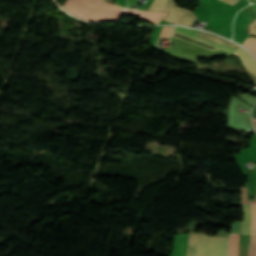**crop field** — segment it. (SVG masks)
Instances as JSON below:
<instances>
[{
    "label": "crop field",
    "instance_id": "1",
    "mask_svg": "<svg viewBox=\"0 0 256 256\" xmlns=\"http://www.w3.org/2000/svg\"><path fill=\"white\" fill-rule=\"evenodd\" d=\"M228 237H211L190 232L186 256H226Z\"/></svg>",
    "mask_w": 256,
    "mask_h": 256
},
{
    "label": "crop field",
    "instance_id": "13",
    "mask_svg": "<svg viewBox=\"0 0 256 256\" xmlns=\"http://www.w3.org/2000/svg\"><path fill=\"white\" fill-rule=\"evenodd\" d=\"M221 1L234 5V4H236L239 0H221Z\"/></svg>",
    "mask_w": 256,
    "mask_h": 256
},
{
    "label": "crop field",
    "instance_id": "12",
    "mask_svg": "<svg viewBox=\"0 0 256 256\" xmlns=\"http://www.w3.org/2000/svg\"><path fill=\"white\" fill-rule=\"evenodd\" d=\"M240 224H241V222H239V223H235V224H234L233 232H232V233H239V230H240Z\"/></svg>",
    "mask_w": 256,
    "mask_h": 256
},
{
    "label": "crop field",
    "instance_id": "14",
    "mask_svg": "<svg viewBox=\"0 0 256 256\" xmlns=\"http://www.w3.org/2000/svg\"><path fill=\"white\" fill-rule=\"evenodd\" d=\"M254 121V124H255V128H256V120H253Z\"/></svg>",
    "mask_w": 256,
    "mask_h": 256
},
{
    "label": "crop field",
    "instance_id": "10",
    "mask_svg": "<svg viewBox=\"0 0 256 256\" xmlns=\"http://www.w3.org/2000/svg\"><path fill=\"white\" fill-rule=\"evenodd\" d=\"M243 204L256 203V195L253 200L248 201V188H242Z\"/></svg>",
    "mask_w": 256,
    "mask_h": 256
},
{
    "label": "crop field",
    "instance_id": "4",
    "mask_svg": "<svg viewBox=\"0 0 256 256\" xmlns=\"http://www.w3.org/2000/svg\"><path fill=\"white\" fill-rule=\"evenodd\" d=\"M237 53L245 64L246 68L256 76V61L240 47L237 49Z\"/></svg>",
    "mask_w": 256,
    "mask_h": 256
},
{
    "label": "crop field",
    "instance_id": "2",
    "mask_svg": "<svg viewBox=\"0 0 256 256\" xmlns=\"http://www.w3.org/2000/svg\"><path fill=\"white\" fill-rule=\"evenodd\" d=\"M174 2L175 0H154L148 10L169 12L163 20L190 26L197 18L192 12L179 8Z\"/></svg>",
    "mask_w": 256,
    "mask_h": 256
},
{
    "label": "crop field",
    "instance_id": "3",
    "mask_svg": "<svg viewBox=\"0 0 256 256\" xmlns=\"http://www.w3.org/2000/svg\"><path fill=\"white\" fill-rule=\"evenodd\" d=\"M175 32H178L180 34H183V35H186L188 37H191V38H194V39H197L199 41H202V42H205L207 44H210V45H213L215 47H218V48H221V49H224V50H227V51H230V52H234V49H231V48H228V47H225V46H222V45H219V44H216V43H213V42H210V41H207V40H204V39H201V38H198L196 37L198 32H194V31H191V30H188L186 28H182V27H176L175 28Z\"/></svg>",
    "mask_w": 256,
    "mask_h": 256
},
{
    "label": "crop field",
    "instance_id": "6",
    "mask_svg": "<svg viewBox=\"0 0 256 256\" xmlns=\"http://www.w3.org/2000/svg\"><path fill=\"white\" fill-rule=\"evenodd\" d=\"M199 37H202V38H205V39L217 42L219 44H222V45L234 48V49H236L238 47V45H235V44H233V43H231V42H229V41H227L225 39H222V38H220L218 36H215L213 34L201 32Z\"/></svg>",
    "mask_w": 256,
    "mask_h": 256
},
{
    "label": "crop field",
    "instance_id": "5",
    "mask_svg": "<svg viewBox=\"0 0 256 256\" xmlns=\"http://www.w3.org/2000/svg\"><path fill=\"white\" fill-rule=\"evenodd\" d=\"M251 227V213H250V204L243 206V223L240 233H250Z\"/></svg>",
    "mask_w": 256,
    "mask_h": 256
},
{
    "label": "crop field",
    "instance_id": "7",
    "mask_svg": "<svg viewBox=\"0 0 256 256\" xmlns=\"http://www.w3.org/2000/svg\"><path fill=\"white\" fill-rule=\"evenodd\" d=\"M243 45L256 57V38H248Z\"/></svg>",
    "mask_w": 256,
    "mask_h": 256
},
{
    "label": "crop field",
    "instance_id": "11",
    "mask_svg": "<svg viewBox=\"0 0 256 256\" xmlns=\"http://www.w3.org/2000/svg\"><path fill=\"white\" fill-rule=\"evenodd\" d=\"M248 34L256 35V19L248 24Z\"/></svg>",
    "mask_w": 256,
    "mask_h": 256
},
{
    "label": "crop field",
    "instance_id": "8",
    "mask_svg": "<svg viewBox=\"0 0 256 256\" xmlns=\"http://www.w3.org/2000/svg\"><path fill=\"white\" fill-rule=\"evenodd\" d=\"M248 256H256V233L251 235Z\"/></svg>",
    "mask_w": 256,
    "mask_h": 256
},
{
    "label": "crop field",
    "instance_id": "9",
    "mask_svg": "<svg viewBox=\"0 0 256 256\" xmlns=\"http://www.w3.org/2000/svg\"><path fill=\"white\" fill-rule=\"evenodd\" d=\"M252 212V228L251 233L256 232V204L251 205Z\"/></svg>",
    "mask_w": 256,
    "mask_h": 256
}]
</instances>
